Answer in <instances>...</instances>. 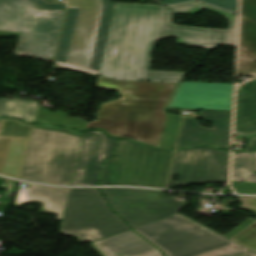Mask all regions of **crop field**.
Returning <instances> with one entry per match:
<instances>
[{
    "mask_svg": "<svg viewBox=\"0 0 256 256\" xmlns=\"http://www.w3.org/2000/svg\"><path fill=\"white\" fill-rule=\"evenodd\" d=\"M112 208L126 219L132 229L177 214L185 207L161 191L103 188Z\"/></svg>",
    "mask_w": 256,
    "mask_h": 256,
    "instance_id": "obj_9",
    "label": "crop field"
},
{
    "mask_svg": "<svg viewBox=\"0 0 256 256\" xmlns=\"http://www.w3.org/2000/svg\"><path fill=\"white\" fill-rule=\"evenodd\" d=\"M234 134L256 135V79L237 87Z\"/></svg>",
    "mask_w": 256,
    "mask_h": 256,
    "instance_id": "obj_18",
    "label": "crop field"
},
{
    "mask_svg": "<svg viewBox=\"0 0 256 256\" xmlns=\"http://www.w3.org/2000/svg\"><path fill=\"white\" fill-rule=\"evenodd\" d=\"M92 245L103 256H163L153 245L129 230Z\"/></svg>",
    "mask_w": 256,
    "mask_h": 256,
    "instance_id": "obj_16",
    "label": "crop field"
},
{
    "mask_svg": "<svg viewBox=\"0 0 256 256\" xmlns=\"http://www.w3.org/2000/svg\"><path fill=\"white\" fill-rule=\"evenodd\" d=\"M38 102L0 98V117H17L25 122H35Z\"/></svg>",
    "mask_w": 256,
    "mask_h": 256,
    "instance_id": "obj_19",
    "label": "crop field"
},
{
    "mask_svg": "<svg viewBox=\"0 0 256 256\" xmlns=\"http://www.w3.org/2000/svg\"><path fill=\"white\" fill-rule=\"evenodd\" d=\"M177 215L134 230L167 256H256L191 219Z\"/></svg>",
    "mask_w": 256,
    "mask_h": 256,
    "instance_id": "obj_6",
    "label": "crop field"
},
{
    "mask_svg": "<svg viewBox=\"0 0 256 256\" xmlns=\"http://www.w3.org/2000/svg\"><path fill=\"white\" fill-rule=\"evenodd\" d=\"M69 190L30 184L29 189H19L16 206L27 202L40 203L41 213L57 214L56 220H61Z\"/></svg>",
    "mask_w": 256,
    "mask_h": 256,
    "instance_id": "obj_17",
    "label": "crop field"
},
{
    "mask_svg": "<svg viewBox=\"0 0 256 256\" xmlns=\"http://www.w3.org/2000/svg\"><path fill=\"white\" fill-rule=\"evenodd\" d=\"M244 152H256V137H252Z\"/></svg>",
    "mask_w": 256,
    "mask_h": 256,
    "instance_id": "obj_27",
    "label": "crop field"
},
{
    "mask_svg": "<svg viewBox=\"0 0 256 256\" xmlns=\"http://www.w3.org/2000/svg\"><path fill=\"white\" fill-rule=\"evenodd\" d=\"M165 5L175 4L180 2H186L191 0H162ZM206 3L212 4L214 6L233 11L237 13L238 10V0H200Z\"/></svg>",
    "mask_w": 256,
    "mask_h": 256,
    "instance_id": "obj_24",
    "label": "crop field"
},
{
    "mask_svg": "<svg viewBox=\"0 0 256 256\" xmlns=\"http://www.w3.org/2000/svg\"><path fill=\"white\" fill-rule=\"evenodd\" d=\"M66 115V112L58 110L53 112L49 109L39 107L36 120L48 124H67L78 130H84L86 121L76 118H69L66 117Z\"/></svg>",
    "mask_w": 256,
    "mask_h": 256,
    "instance_id": "obj_22",
    "label": "crop field"
},
{
    "mask_svg": "<svg viewBox=\"0 0 256 256\" xmlns=\"http://www.w3.org/2000/svg\"><path fill=\"white\" fill-rule=\"evenodd\" d=\"M83 136L68 127L34 125L20 179L70 185Z\"/></svg>",
    "mask_w": 256,
    "mask_h": 256,
    "instance_id": "obj_4",
    "label": "crop field"
},
{
    "mask_svg": "<svg viewBox=\"0 0 256 256\" xmlns=\"http://www.w3.org/2000/svg\"><path fill=\"white\" fill-rule=\"evenodd\" d=\"M254 221L248 219L245 222H243L241 225H239L238 227H236L235 229H233L232 231H230L228 234H226L224 237L230 239L233 236H235L237 233H239L240 231H242L243 229H245L246 227H248L250 224H252Z\"/></svg>",
    "mask_w": 256,
    "mask_h": 256,
    "instance_id": "obj_26",
    "label": "crop field"
},
{
    "mask_svg": "<svg viewBox=\"0 0 256 256\" xmlns=\"http://www.w3.org/2000/svg\"><path fill=\"white\" fill-rule=\"evenodd\" d=\"M32 127L0 120V174L19 178Z\"/></svg>",
    "mask_w": 256,
    "mask_h": 256,
    "instance_id": "obj_14",
    "label": "crop field"
},
{
    "mask_svg": "<svg viewBox=\"0 0 256 256\" xmlns=\"http://www.w3.org/2000/svg\"><path fill=\"white\" fill-rule=\"evenodd\" d=\"M114 14L99 75L121 80L178 82L184 72L149 71L155 41L178 36L177 44L212 48L235 44L237 15L192 2L169 7L114 3ZM200 9L217 12L231 23L229 30L177 26L173 14H194Z\"/></svg>",
    "mask_w": 256,
    "mask_h": 256,
    "instance_id": "obj_1",
    "label": "crop field"
},
{
    "mask_svg": "<svg viewBox=\"0 0 256 256\" xmlns=\"http://www.w3.org/2000/svg\"><path fill=\"white\" fill-rule=\"evenodd\" d=\"M229 153L210 147L176 152L168 185L183 186L195 183L227 182ZM179 175L178 182L172 176Z\"/></svg>",
    "mask_w": 256,
    "mask_h": 256,
    "instance_id": "obj_10",
    "label": "crop field"
},
{
    "mask_svg": "<svg viewBox=\"0 0 256 256\" xmlns=\"http://www.w3.org/2000/svg\"><path fill=\"white\" fill-rule=\"evenodd\" d=\"M38 8L65 9L58 0H31ZM68 7L55 60L94 74L99 73L108 26L113 14L111 0H65Z\"/></svg>",
    "mask_w": 256,
    "mask_h": 256,
    "instance_id": "obj_3",
    "label": "crop field"
},
{
    "mask_svg": "<svg viewBox=\"0 0 256 256\" xmlns=\"http://www.w3.org/2000/svg\"><path fill=\"white\" fill-rule=\"evenodd\" d=\"M129 230L98 189H71L60 232L79 236L80 242H94Z\"/></svg>",
    "mask_w": 256,
    "mask_h": 256,
    "instance_id": "obj_8",
    "label": "crop field"
},
{
    "mask_svg": "<svg viewBox=\"0 0 256 256\" xmlns=\"http://www.w3.org/2000/svg\"><path fill=\"white\" fill-rule=\"evenodd\" d=\"M252 153H234L232 181L256 183V174L251 173Z\"/></svg>",
    "mask_w": 256,
    "mask_h": 256,
    "instance_id": "obj_21",
    "label": "crop field"
},
{
    "mask_svg": "<svg viewBox=\"0 0 256 256\" xmlns=\"http://www.w3.org/2000/svg\"><path fill=\"white\" fill-rule=\"evenodd\" d=\"M232 112L203 111L202 119L212 123V129L199 126V121L184 118L177 147L207 144L229 147Z\"/></svg>",
    "mask_w": 256,
    "mask_h": 256,
    "instance_id": "obj_11",
    "label": "crop field"
},
{
    "mask_svg": "<svg viewBox=\"0 0 256 256\" xmlns=\"http://www.w3.org/2000/svg\"><path fill=\"white\" fill-rule=\"evenodd\" d=\"M233 86L182 82L169 107L232 111Z\"/></svg>",
    "mask_w": 256,
    "mask_h": 256,
    "instance_id": "obj_13",
    "label": "crop field"
},
{
    "mask_svg": "<svg viewBox=\"0 0 256 256\" xmlns=\"http://www.w3.org/2000/svg\"><path fill=\"white\" fill-rule=\"evenodd\" d=\"M238 74L256 76V0H242Z\"/></svg>",
    "mask_w": 256,
    "mask_h": 256,
    "instance_id": "obj_15",
    "label": "crop field"
},
{
    "mask_svg": "<svg viewBox=\"0 0 256 256\" xmlns=\"http://www.w3.org/2000/svg\"><path fill=\"white\" fill-rule=\"evenodd\" d=\"M238 199L242 202V205L239 206L240 209L256 214L255 197H240ZM230 240L256 253V222Z\"/></svg>",
    "mask_w": 256,
    "mask_h": 256,
    "instance_id": "obj_20",
    "label": "crop field"
},
{
    "mask_svg": "<svg viewBox=\"0 0 256 256\" xmlns=\"http://www.w3.org/2000/svg\"><path fill=\"white\" fill-rule=\"evenodd\" d=\"M181 122H182V117L172 116V115L168 116L161 147H165V148L175 147Z\"/></svg>",
    "mask_w": 256,
    "mask_h": 256,
    "instance_id": "obj_23",
    "label": "crop field"
},
{
    "mask_svg": "<svg viewBox=\"0 0 256 256\" xmlns=\"http://www.w3.org/2000/svg\"><path fill=\"white\" fill-rule=\"evenodd\" d=\"M173 153L120 140L116 155L104 164L100 185L165 188Z\"/></svg>",
    "mask_w": 256,
    "mask_h": 256,
    "instance_id": "obj_7",
    "label": "crop field"
},
{
    "mask_svg": "<svg viewBox=\"0 0 256 256\" xmlns=\"http://www.w3.org/2000/svg\"><path fill=\"white\" fill-rule=\"evenodd\" d=\"M176 83L128 81L98 77L95 87L119 91L121 98L101 105L95 122L85 130L103 129L106 133L158 147L165 118V105Z\"/></svg>",
    "mask_w": 256,
    "mask_h": 256,
    "instance_id": "obj_2",
    "label": "crop field"
},
{
    "mask_svg": "<svg viewBox=\"0 0 256 256\" xmlns=\"http://www.w3.org/2000/svg\"><path fill=\"white\" fill-rule=\"evenodd\" d=\"M56 65L59 66V67H65V68L75 69V68H71V67L64 66V65H61V64H57V63H56ZM75 70H78V69H75ZM90 74H91V73H90ZM93 75H94V74H93Z\"/></svg>",
    "mask_w": 256,
    "mask_h": 256,
    "instance_id": "obj_28",
    "label": "crop field"
},
{
    "mask_svg": "<svg viewBox=\"0 0 256 256\" xmlns=\"http://www.w3.org/2000/svg\"><path fill=\"white\" fill-rule=\"evenodd\" d=\"M115 142L101 131L85 133L71 185H97L102 163L113 155Z\"/></svg>",
    "mask_w": 256,
    "mask_h": 256,
    "instance_id": "obj_12",
    "label": "crop field"
},
{
    "mask_svg": "<svg viewBox=\"0 0 256 256\" xmlns=\"http://www.w3.org/2000/svg\"><path fill=\"white\" fill-rule=\"evenodd\" d=\"M239 194H256V184L232 182Z\"/></svg>",
    "mask_w": 256,
    "mask_h": 256,
    "instance_id": "obj_25",
    "label": "crop field"
},
{
    "mask_svg": "<svg viewBox=\"0 0 256 256\" xmlns=\"http://www.w3.org/2000/svg\"><path fill=\"white\" fill-rule=\"evenodd\" d=\"M255 154V162H254V169H253V172H256V153Z\"/></svg>",
    "mask_w": 256,
    "mask_h": 256,
    "instance_id": "obj_29",
    "label": "crop field"
},
{
    "mask_svg": "<svg viewBox=\"0 0 256 256\" xmlns=\"http://www.w3.org/2000/svg\"><path fill=\"white\" fill-rule=\"evenodd\" d=\"M65 10L37 9L30 0H0V38L18 39L14 54L54 56Z\"/></svg>",
    "mask_w": 256,
    "mask_h": 256,
    "instance_id": "obj_5",
    "label": "crop field"
}]
</instances>
